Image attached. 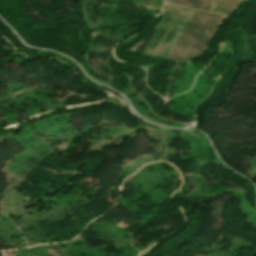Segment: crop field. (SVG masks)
Wrapping results in <instances>:
<instances>
[{
    "label": "crop field",
    "instance_id": "obj_4",
    "mask_svg": "<svg viewBox=\"0 0 256 256\" xmlns=\"http://www.w3.org/2000/svg\"><path fill=\"white\" fill-rule=\"evenodd\" d=\"M165 2L172 3V2H173V0H165Z\"/></svg>",
    "mask_w": 256,
    "mask_h": 256
},
{
    "label": "crop field",
    "instance_id": "obj_1",
    "mask_svg": "<svg viewBox=\"0 0 256 256\" xmlns=\"http://www.w3.org/2000/svg\"><path fill=\"white\" fill-rule=\"evenodd\" d=\"M221 18L220 15L194 10L167 58L175 60L197 58Z\"/></svg>",
    "mask_w": 256,
    "mask_h": 256
},
{
    "label": "crop field",
    "instance_id": "obj_2",
    "mask_svg": "<svg viewBox=\"0 0 256 256\" xmlns=\"http://www.w3.org/2000/svg\"><path fill=\"white\" fill-rule=\"evenodd\" d=\"M177 9L178 8L175 7V6L165 5V8H164V19L161 22V24L159 25V27H158L157 31L155 32L154 36L152 37L150 43L148 44V46L146 48L147 50L144 53L145 56H148L150 50L152 49V47L154 46V44L156 43V41L160 37V35L163 32L164 28L167 26V24L169 23V21L171 20V18L173 17L175 12L177 11ZM184 10H185V8L183 10L178 9V11L175 14L174 18L170 22L166 32L163 34V36L160 38L158 43L155 45L154 49L151 51L149 56L156 57L157 53L161 49L162 45L166 41L167 37L169 36L170 32L174 28L175 24L179 20L180 16L184 12ZM190 11H191L190 8L186 9L185 13L183 14L182 18L178 22V24L175 27L174 31L172 32L171 36L169 37V39L167 40V42L164 45L163 49L159 53L158 57L163 58L164 54L166 53L167 49L169 48L170 44L172 43L173 39L175 38L176 34L178 33L179 29L181 28L182 24L184 23L185 19L187 18L188 14L190 13Z\"/></svg>",
    "mask_w": 256,
    "mask_h": 256
},
{
    "label": "crop field",
    "instance_id": "obj_3",
    "mask_svg": "<svg viewBox=\"0 0 256 256\" xmlns=\"http://www.w3.org/2000/svg\"><path fill=\"white\" fill-rule=\"evenodd\" d=\"M175 4L210 11L211 0H174Z\"/></svg>",
    "mask_w": 256,
    "mask_h": 256
}]
</instances>
